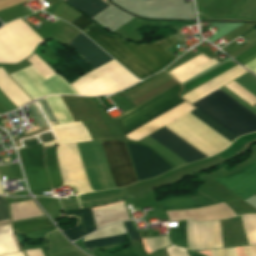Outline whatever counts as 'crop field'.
<instances>
[{
	"label": "crop field",
	"mask_w": 256,
	"mask_h": 256,
	"mask_svg": "<svg viewBox=\"0 0 256 256\" xmlns=\"http://www.w3.org/2000/svg\"><path fill=\"white\" fill-rule=\"evenodd\" d=\"M246 73L248 72L238 65L181 97L192 104ZM225 87L253 107L256 104V97L236 82L233 81ZM192 105L237 137L256 131V116L219 89Z\"/></svg>",
	"instance_id": "8a807250"
},
{
	"label": "crop field",
	"mask_w": 256,
	"mask_h": 256,
	"mask_svg": "<svg viewBox=\"0 0 256 256\" xmlns=\"http://www.w3.org/2000/svg\"><path fill=\"white\" fill-rule=\"evenodd\" d=\"M82 32L139 79L154 74L176 59L166 51L177 43L171 36L150 44H131L105 34L94 23Z\"/></svg>",
	"instance_id": "ac0d7876"
},
{
	"label": "crop field",
	"mask_w": 256,
	"mask_h": 256,
	"mask_svg": "<svg viewBox=\"0 0 256 256\" xmlns=\"http://www.w3.org/2000/svg\"><path fill=\"white\" fill-rule=\"evenodd\" d=\"M181 89L182 87L178 84L137 108L118 117L117 119L124 134L133 131L159 115L185 102L180 98L179 93ZM193 109L195 108L185 102L125 136L129 139L138 141Z\"/></svg>",
	"instance_id": "34b2d1b8"
},
{
	"label": "crop field",
	"mask_w": 256,
	"mask_h": 256,
	"mask_svg": "<svg viewBox=\"0 0 256 256\" xmlns=\"http://www.w3.org/2000/svg\"><path fill=\"white\" fill-rule=\"evenodd\" d=\"M189 113L229 141L232 142L237 138L199 110L195 109ZM189 113L165 127L207 156L220 152L230 145L231 142Z\"/></svg>",
	"instance_id": "412701ff"
},
{
	"label": "crop field",
	"mask_w": 256,
	"mask_h": 256,
	"mask_svg": "<svg viewBox=\"0 0 256 256\" xmlns=\"http://www.w3.org/2000/svg\"><path fill=\"white\" fill-rule=\"evenodd\" d=\"M136 82V78L113 60L72 85L83 96H97L115 93Z\"/></svg>",
	"instance_id": "f4fd0767"
},
{
	"label": "crop field",
	"mask_w": 256,
	"mask_h": 256,
	"mask_svg": "<svg viewBox=\"0 0 256 256\" xmlns=\"http://www.w3.org/2000/svg\"><path fill=\"white\" fill-rule=\"evenodd\" d=\"M188 249L211 250L223 248L219 221L197 223L187 220ZM171 244L187 249L186 220L179 228L169 229Z\"/></svg>",
	"instance_id": "dd49c442"
},
{
	"label": "crop field",
	"mask_w": 256,
	"mask_h": 256,
	"mask_svg": "<svg viewBox=\"0 0 256 256\" xmlns=\"http://www.w3.org/2000/svg\"><path fill=\"white\" fill-rule=\"evenodd\" d=\"M11 76L33 100L53 94L79 95L59 74L45 79L32 66L15 72Z\"/></svg>",
	"instance_id": "e52e79f7"
},
{
	"label": "crop field",
	"mask_w": 256,
	"mask_h": 256,
	"mask_svg": "<svg viewBox=\"0 0 256 256\" xmlns=\"http://www.w3.org/2000/svg\"><path fill=\"white\" fill-rule=\"evenodd\" d=\"M101 143L116 186L137 182L125 142L111 140Z\"/></svg>",
	"instance_id": "d8731c3e"
},
{
	"label": "crop field",
	"mask_w": 256,
	"mask_h": 256,
	"mask_svg": "<svg viewBox=\"0 0 256 256\" xmlns=\"http://www.w3.org/2000/svg\"><path fill=\"white\" fill-rule=\"evenodd\" d=\"M27 185L31 192L51 190L50 183L45 169L43 145H36L28 148L17 149ZM32 167V168H27Z\"/></svg>",
	"instance_id": "5a996713"
},
{
	"label": "crop field",
	"mask_w": 256,
	"mask_h": 256,
	"mask_svg": "<svg viewBox=\"0 0 256 256\" xmlns=\"http://www.w3.org/2000/svg\"><path fill=\"white\" fill-rule=\"evenodd\" d=\"M59 167L64 186L90 192L75 144L58 146Z\"/></svg>",
	"instance_id": "3316defc"
},
{
	"label": "crop field",
	"mask_w": 256,
	"mask_h": 256,
	"mask_svg": "<svg viewBox=\"0 0 256 256\" xmlns=\"http://www.w3.org/2000/svg\"><path fill=\"white\" fill-rule=\"evenodd\" d=\"M127 145L139 180L153 178L171 170L153 150L138 144Z\"/></svg>",
	"instance_id": "28ad6ade"
},
{
	"label": "crop field",
	"mask_w": 256,
	"mask_h": 256,
	"mask_svg": "<svg viewBox=\"0 0 256 256\" xmlns=\"http://www.w3.org/2000/svg\"><path fill=\"white\" fill-rule=\"evenodd\" d=\"M51 128L54 131L58 140L52 141V140H55L52 132L37 136V138L42 143L52 141L49 143H45L44 146L85 142V141L91 140L87 131L81 124V122L71 123V124H63V125H53V126H51ZM23 143H24L25 147L40 144L34 138L24 141Z\"/></svg>",
	"instance_id": "d1516ede"
},
{
	"label": "crop field",
	"mask_w": 256,
	"mask_h": 256,
	"mask_svg": "<svg viewBox=\"0 0 256 256\" xmlns=\"http://www.w3.org/2000/svg\"><path fill=\"white\" fill-rule=\"evenodd\" d=\"M220 184L244 199L256 193V162L242 171L215 178Z\"/></svg>",
	"instance_id": "22f410ed"
},
{
	"label": "crop field",
	"mask_w": 256,
	"mask_h": 256,
	"mask_svg": "<svg viewBox=\"0 0 256 256\" xmlns=\"http://www.w3.org/2000/svg\"><path fill=\"white\" fill-rule=\"evenodd\" d=\"M149 136L154 138L156 141L164 145L166 148L174 152L188 163L206 158L203 154L195 150L193 147L185 143L164 127Z\"/></svg>",
	"instance_id": "cbeb9de0"
},
{
	"label": "crop field",
	"mask_w": 256,
	"mask_h": 256,
	"mask_svg": "<svg viewBox=\"0 0 256 256\" xmlns=\"http://www.w3.org/2000/svg\"><path fill=\"white\" fill-rule=\"evenodd\" d=\"M68 45L71 46L84 60H86L94 68H97L112 60L111 57H109L105 52H103L99 47H97L81 33Z\"/></svg>",
	"instance_id": "5142ce71"
},
{
	"label": "crop field",
	"mask_w": 256,
	"mask_h": 256,
	"mask_svg": "<svg viewBox=\"0 0 256 256\" xmlns=\"http://www.w3.org/2000/svg\"><path fill=\"white\" fill-rule=\"evenodd\" d=\"M125 232H126V230H125L122 222L117 223V224H111L109 226L102 227L100 230L94 232L93 234H91L89 236L84 237L83 241L106 237V236H111V235L122 234ZM123 237H124V234L101 238V239H96V240L85 241V242H83V247L92 253V248L121 243V242H123Z\"/></svg>",
	"instance_id": "d9b57169"
},
{
	"label": "crop field",
	"mask_w": 256,
	"mask_h": 256,
	"mask_svg": "<svg viewBox=\"0 0 256 256\" xmlns=\"http://www.w3.org/2000/svg\"><path fill=\"white\" fill-rule=\"evenodd\" d=\"M66 216L78 218L77 226L66 231H62L71 241H74L94 230L95 224L90 209L78 210L66 213Z\"/></svg>",
	"instance_id": "733c2abd"
},
{
	"label": "crop field",
	"mask_w": 256,
	"mask_h": 256,
	"mask_svg": "<svg viewBox=\"0 0 256 256\" xmlns=\"http://www.w3.org/2000/svg\"><path fill=\"white\" fill-rule=\"evenodd\" d=\"M214 202L218 201L202 193H198L196 195H188L159 201L158 204L160 209H180L202 206Z\"/></svg>",
	"instance_id": "4a817a6b"
},
{
	"label": "crop field",
	"mask_w": 256,
	"mask_h": 256,
	"mask_svg": "<svg viewBox=\"0 0 256 256\" xmlns=\"http://www.w3.org/2000/svg\"><path fill=\"white\" fill-rule=\"evenodd\" d=\"M124 210H126L125 206L123 203H121V204H117V205L94 209V210H92V212H93L94 218H96V217H100V216H104V215H108V214H112V213H116V212H120V211H124ZM128 219L129 218H128L127 212L124 211V212L96 218L94 220L96 223V227L98 229L104 225H107V224H110L113 222H117V221H121V220H128Z\"/></svg>",
	"instance_id": "bc2a9ffb"
},
{
	"label": "crop field",
	"mask_w": 256,
	"mask_h": 256,
	"mask_svg": "<svg viewBox=\"0 0 256 256\" xmlns=\"http://www.w3.org/2000/svg\"><path fill=\"white\" fill-rule=\"evenodd\" d=\"M45 163L52 184V188L56 189L62 185V179L57 166V156L55 147H44Z\"/></svg>",
	"instance_id": "214f88e0"
},
{
	"label": "crop field",
	"mask_w": 256,
	"mask_h": 256,
	"mask_svg": "<svg viewBox=\"0 0 256 256\" xmlns=\"http://www.w3.org/2000/svg\"><path fill=\"white\" fill-rule=\"evenodd\" d=\"M11 234L13 233L10 225L0 226V256L19 251ZM23 253L19 252L5 256H24Z\"/></svg>",
	"instance_id": "92a150f3"
},
{
	"label": "crop field",
	"mask_w": 256,
	"mask_h": 256,
	"mask_svg": "<svg viewBox=\"0 0 256 256\" xmlns=\"http://www.w3.org/2000/svg\"><path fill=\"white\" fill-rule=\"evenodd\" d=\"M14 231L20 234L33 233L43 230L54 229L55 227L50 223L47 218L14 223L12 224Z\"/></svg>",
	"instance_id": "dafd665d"
},
{
	"label": "crop field",
	"mask_w": 256,
	"mask_h": 256,
	"mask_svg": "<svg viewBox=\"0 0 256 256\" xmlns=\"http://www.w3.org/2000/svg\"><path fill=\"white\" fill-rule=\"evenodd\" d=\"M65 2L90 18L107 6L100 0H67Z\"/></svg>",
	"instance_id": "00972430"
},
{
	"label": "crop field",
	"mask_w": 256,
	"mask_h": 256,
	"mask_svg": "<svg viewBox=\"0 0 256 256\" xmlns=\"http://www.w3.org/2000/svg\"><path fill=\"white\" fill-rule=\"evenodd\" d=\"M58 124L73 122L62 98L60 96H53L46 98Z\"/></svg>",
	"instance_id": "a9b5d70f"
},
{
	"label": "crop field",
	"mask_w": 256,
	"mask_h": 256,
	"mask_svg": "<svg viewBox=\"0 0 256 256\" xmlns=\"http://www.w3.org/2000/svg\"><path fill=\"white\" fill-rule=\"evenodd\" d=\"M210 60L202 53L199 54L197 57L191 59L190 61L182 64L181 66L175 68L174 70L168 72L172 75L175 79L182 76L183 74L189 72L190 70L196 68L197 66L203 64L204 62Z\"/></svg>",
	"instance_id": "4177f3b9"
},
{
	"label": "crop field",
	"mask_w": 256,
	"mask_h": 256,
	"mask_svg": "<svg viewBox=\"0 0 256 256\" xmlns=\"http://www.w3.org/2000/svg\"><path fill=\"white\" fill-rule=\"evenodd\" d=\"M169 256H188L186 250L177 247H169L166 249ZM97 256H138L137 252L135 251L134 247L126 249L122 252H117L115 254H105L100 251L96 252Z\"/></svg>",
	"instance_id": "730fd06b"
},
{
	"label": "crop field",
	"mask_w": 256,
	"mask_h": 256,
	"mask_svg": "<svg viewBox=\"0 0 256 256\" xmlns=\"http://www.w3.org/2000/svg\"><path fill=\"white\" fill-rule=\"evenodd\" d=\"M145 241H146L147 245L149 246L151 252L156 251L161 248H164L166 246H169L166 236L148 238V239H145Z\"/></svg>",
	"instance_id": "eef30255"
},
{
	"label": "crop field",
	"mask_w": 256,
	"mask_h": 256,
	"mask_svg": "<svg viewBox=\"0 0 256 256\" xmlns=\"http://www.w3.org/2000/svg\"><path fill=\"white\" fill-rule=\"evenodd\" d=\"M256 58V45L242 52L239 56L235 58L243 66Z\"/></svg>",
	"instance_id": "ae1a2a85"
},
{
	"label": "crop field",
	"mask_w": 256,
	"mask_h": 256,
	"mask_svg": "<svg viewBox=\"0 0 256 256\" xmlns=\"http://www.w3.org/2000/svg\"><path fill=\"white\" fill-rule=\"evenodd\" d=\"M9 220L8 206L3 197H0V222Z\"/></svg>",
	"instance_id": "d3111659"
},
{
	"label": "crop field",
	"mask_w": 256,
	"mask_h": 256,
	"mask_svg": "<svg viewBox=\"0 0 256 256\" xmlns=\"http://www.w3.org/2000/svg\"><path fill=\"white\" fill-rule=\"evenodd\" d=\"M40 129H41V130L32 132V133L27 134V135H25V133L19 135L20 137H18V138H16V139L13 140L15 146H16V147L23 146L20 140L25 139V138H28V137H31V136L36 135V134H39V133H43V132L49 130V127H44V128H40Z\"/></svg>",
	"instance_id": "750c4746"
},
{
	"label": "crop field",
	"mask_w": 256,
	"mask_h": 256,
	"mask_svg": "<svg viewBox=\"0 0 256 256\" xmlns=\"http://www.w3.org/2000/svg\"><path fill=\"white\" fill-rule=\"evenodd\" d=\"M91 23H93V22H91L89 19H87L85 16L82 15L70 24L76 26L78 29H80L82 31L87 26H89Z\"/></svg>",
	"instance_id": "bd1437ed"
},
{
	"label": "crop field",
	"mask_w": 256,
	"mask_h": 256,
	"mask_svg": "<svg viewBox=\"0 0 256 256\" xmlns=\"http://www.w3.org/2000/svg\"><path fill=\"white\" fill-rule=\"evenodd\" d=\"M212 256H237L235 249H222V250H214L210 251Z\"/></svg>",
	"instance_id": "1d83c4d3"
},
{
	"label": "crop field",
	"mask_w": 256,
	"mask_h": 256,
	"mask_svg": "<svg viewBox=\"0 0 256 256\" xmlns=\"http://www.w3.org/2000/svg\"><path fill=\"white\" fill-rule=\"evenodd\" d=\"M124 225H125V227H126L128 233H129V236H130V238H131L132 241H133V240L140 239L138 233L135 232V230H134V228H133V226H132V224H131L130 221L124 222Z\"/></svg>",
	"instance_id": "120bbe31"
},
{
	"label": "crop field",
	"mask_w": 256,
	"mask_h": 256,
	"mask_svg": "<svg viewBox=\"0 0 256 256\" xmlns=\"http://www.w3.org/2000/svg\"><path fill=\"white\" fill-rule=\"evenodd\" d=\"M247 256H256V245L243 247Z\"/></svg>",
	"instance_id": "d32e631a"
},
{
	"label": "crop field",
	"mask_w": 256,
	"mask_h": 256,
	"mask_svg": "<svg viewBox=\"0 0 256 256\" xmlns=\"http://www.w3.org/2000/svg\"><path fill=\"white\" fill-rule=\"evenodd\" d=\"M244 67H246L248 70H253L255 67H256V59L255 60H253L252 62H250L249 64H247L246 66H244Z\"/></svg>",
	"instance_id": "5866460e"
},
{
	"label": "crop field",
	"mask_w": 256,
	"mask_h": 256,
	"mask_svg": "<svg viewBox=\"0 0 256 256\" xmlns=\"http://www.w3.org/2000/svg\"><path fill=\"white\" fill-rule=\"evenodd\" d=\"M187 252H188L189 256H202V255H200L198 253H195V252H192V251L187 250Z\"/></svg>",
	"instance_id": "028f5c9d"
},
{
	"label": "crop field",
	"mask_w": 256,
	"mask_h": 256,
	"mask_svg": "<svg viewBox=\"0 0 256 256\" xmlns=\"http://www.w3.org/2000/svg\"><path fill=\"white\" fill-rule=\"evenodd\" d=\"M0 194H3V190H2V187H1V183H0ZM4 195V194H3Z\"/></svg>",
	"instance_id": "e1f06a70"
},
{
	"label": "crop field",
	"mask_w": 256,
	"mask_h": 256,
	"mask_svg": "<svg viewBox=\"0 0 256 256\" xmlns=\"http://www.w3.org/2000/svg\"><path fill=\"white\" fill-rule=\"evenodd\" d=\"M251 72H253L255 75H256V69H254L253 71H251Z\"/></svg>",
	"instance_id": "0bd39190"
},
{
	"label": "crop field",
	"mask_w": 256,
	"mask_h": 256,
	"mask_svg": "<svg viewBox=\"0 0 256 256\" xmlns=\"http://www.w3.org/2000/svg\"><path fill=\"white\" fill-rule=\"evenodd\" d=\"M0 27H1V22H0Z\"/></svg>",
	"instance_id": "b80d0937"
},
{
	"label": "crop field",
	"mask_w": 256,
	"mask_h": 256,
	"mask_svg": "<svg viewBox=\"0 0 256 256\" xmlns=\"http://www.w3.org/2000/svg\"><path fill=\"white\" fill-rule=\"evenodd\" d=\"M256 195V194H255Z\"/></svg>",
	"instance_id": "c035e120"
}]
</instances>
